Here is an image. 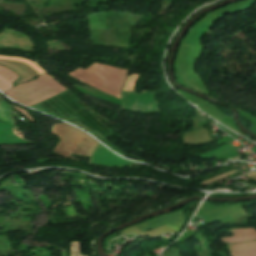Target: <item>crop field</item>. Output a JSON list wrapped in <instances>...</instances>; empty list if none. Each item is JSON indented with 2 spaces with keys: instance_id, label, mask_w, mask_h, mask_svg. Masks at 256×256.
Wrapping results in <instances>:
<instances>
[{
  "instance_id": "crop-field-8",
  "label": "crop field",
  "mask_w": 256,
  "mask_h": 256,
  "mask_svg": "<svg viewBox=\"0 0 256 256\" xmlns=\"http://www.w3.org/2000/svg\"><path fill=\"white\" fill-rule=\"evenodd\" d=\"M0 59L14 60V61H20L22 63H26V64L30 65L40 75L44 74V71L39 66H37L36 64H34L28 60L19 59V58H11V57H7V56H0Z\"/></svg>"
},
{
  "instance_id": "crop-field-10",
  "label": "crop field",
  "mask_w": 256,
  "mask_h": 256,
  "mask_svg": "<svg viewBox=\"0 0 256 256\" xmlns=\"http://www.w3.org/2000/svg\"><path fill=\"white\" fill-rule=\"evenodd\" d=\"M14 108H15L17 111H19L21 114H23L26 118H28L29 120H31V117H30L23 109H21V108H19V107H16V106H14Z\"/></svg>"
},
{
  "instance_id": "crop-field-1",
  "label": "crop field",
  "mask_w": 256,
  "mask_h": 256,
  "mask_svg": "<svg viewBox=\"0 0 256 256\" xmlns=\"http://www.w3.org/2000/svg\"><path fill=\"white\" fill-rule=\"evenodd\" d=\"M126 72L125 70L94 63L86 70L79 68L68 75L120 99L119 93Z\"/></svg>"
},
{
  "instance_id": "crop-field-3",
  "label": "crop field",
  "mask_w": 256,
  "mask_h": 256,
  "mask_svg": "<svg viewBox=\"0 0 256 256\" xmlns=\"http://www.w3.org/2000/svg\"><path fill=\"white\" fill-rule=\"evenodd\" d=\"M52 133L61 138L53 151L69 158H71V154L91 157L98 143L89 135L68 124H54Z\"/></svg>"
},
{
  "instance_id": "crop-field-4",
  "label": "crop field",
  "mask_w": 256,
  "mask_h": 256,
  "mask_svg": "<svg viewBox=\"0 0 256 256\" xmlns=\"http://www.w3.org/2000/svg\"><path fill=\"white\" fill-rule=\"evenodd\" d=\"M231 256H256V241L227 245Z\"/></svg>"
},
{
  "instance_id": "crop-field-5",
  "label": "crop field",
  "mask_w": 256,
  "mask_h": 256,
  "mask_svg": "<svg viewBox=\"0 0 256 256\" xmlns=\"http://www.w3.org/2000/svg\"><path fill=\"white\" fill-rule=\"evenodd\" d=\"M230 231L233 232L234 237L222 238L221 240L223 242L233 243V242H240V241L256 239V230H254L253 228L235 229V230H230Z\"/></svg>"
},
{
  "instance_id": "crop-field-2",
  "label": "crop field",
  "mask_w": 256,
  "mask_h": 256,
  "mask_svg": "<svg viewBox=\"0 0 256 256\" xmlns=\"http://www.w3.org/2000/svg\"><path fill=\"white\" fill-rule=\"evenodd\" d=\"M65 90L64 86L56 82L48 74H45L32 82L11 88L4 93L11 99L30 106Z\"/></svg>"
},
{
  "instance_id": "crop-field-9",
  "label": "crop field",
  "mask_w": 256,
  "mask_h": 256,
  "mask_svg": "<svg viewBox=\"0 0 256 256\" xmlns=\"http://www.w3.org/2000/svg\"><path fill=\"white\" fill-rule=\"evenodd\" d=\"M139 77V75H132V76H129L127 78V83L124 87L123 90H130V91H133L134 90V86H135V82L137 80V78Z\"/></svg>"
},
{
  "instance_id": "crop-field-7",
  "label": "crop field",
  "mask_w": 256,
  "mask_h": 256,
  "mask_svg": "<svg viewBox=\"0 0 256 256\" xmlns=\"http://www.w3.org/2000/svg\"><path fill=\"white\" fill-rule=\"evenodd\" d=\"M0 120L14 126L10 106L4 100L0 102Z\"/></svg>"
},
{
  "instance_id": "crop-field-6",
  "label": "crop field",
  "mask_w": 256,
  "mask_h": 256,
  "mask_svg": "<svg viewBox=\"0 0 256 256\" xmlns=\"http://www.w3.org/2000/svg\"><path fill=\"white\" fill-rule=\"evenodd\" d=\"M18 76L11 71L0 66V90L3 92L11 88L13 82Z\"/></svg>"
}]
</instances>
